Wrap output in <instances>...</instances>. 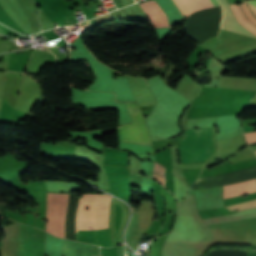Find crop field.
I'll return each mask as SVG.
<instances>
[{"label":"crop field","instance_id":"3316defc","mask_svg":"<svg viewBox=\"0 0 256 256\" xmlns=\"http://www.w3.org/2000/svg\"><path fill=\"white\" fill-rule=\"evenodd\" d=\"M247 2L251 3L252 5H254L256 7V0H250V1H247ZM248 5L251 7V9L253 10V12L256 15V8L254 6H252V5H250V4H248Z\"/></svg>","mask_w":256,"mask_h":256},{"label":"crop field","instance_id":"22f410ed","mask_svg":"<svg viewBox=\"0 0 256 256\" xmlns=\"http://www.w3.org/2000/svg\"><path fill=\"white\" fill-rule=\"evenodd\" d=\"M174 2V1H173ZM175 3V2H174ZM176 5V4H175ZM178 8V7H177ZM181 13V12H180ZM184 17V16H183Z\"/></svg>","mask_w":256,"mask_h":256},{"label":"crop field","instance_id":"34b2d1b8","mask_svg":"<svg viewBox=\"0 0 256 256\" xmlns=\"http://www.w3.org/2000/svg\"><path fill=\"white\" fill-rule=\"evenodd\" d=\"M230 7L232 8L239 23L256 34V18L249 7L245 3L232 5Z\"/></svg>","mask_w":256,"mask_h":256},{"label":"crop field","instance_id":"ac0d7876","mask_svg":"<svg viewBox=\"0 0 256 256\" xmlns=\"http://www.w3.org/2000/svg\"><path fill=\"white\" fill-rule=\"evenodd\" d=\"M125 103L133 120V123L120 127L123 141L130 143H139L143 145H152L139 106L136 103Z\"/></svg>","mask_w":256,"mask_h":256},{"label":"crop field","instance_id":"28ad6ade","mask_svg":"<svg viewBox=\"0 0 256 256\" xmlns=\"http://www.w3.org/2000/svg\"><path fill=\"white\" fill-rule=\"evenodd\" d=\"M243 129H244V132H250V131H254L255 130L251 126H244Z\"/></svg>","mask_w":256,"mask_h":256},{"label":"crop field","instance_id":"d1516ede","mask_svg":"<svg viewBox=\"0 0 256 256\" xmlns=\"http://www.w3.org/2000/svg\"><path fill=\"white\" fill-rule=\"evenodd\" d=\"M226 1L228 2V4H231V3H235L243 0H226Z\"/></svg>","mask_w":256,"mask_h":256},{"label":"crop field","instance_id":"e52e79f7","mask_svg":"<svg viewBox=\"0 0 256 256\" xmlns=\"http://www.w3.org/2000/svg\"><path fill=\"white\" fill-rule=\"evenodd\" d=\"M220 1V0H219ZM228 13L230 14L233 22L236 24L237 27H239L241 30H243L245 33H247L248 35L250 36H253L256 38V36H254L252 33H250L248 30H246L244 27H242L236 20V18L234 17L232 11L230 10L227 2L225 0H222ZM222 1H220L221 5H222V9H223V19H222V25L221 27L224 28V29H227V30H231V31H235V32H239V33H243L245 34L244 32H242L240 29H238L234 23L232 22L229 14L227 13Z\"/></svg>","mask_w":256,"mask_h":256},{"label":"crop field","instance_id":"d8731c3e","mask_svg":"<svg viewBox=\"0 0 256 256\" xmlns=\"http://www.w3.org/2000/svg\"><path fill=\"white\" fill-rule=\"evenodd\" d=\"M19 75L8 74L6 81V88L3 99L7 101L12 107L14 106L16 98V89L19 81Z\"/></svg>","mask_w":256,"mask_h":256},{"label":"crop field","instance_id":"dd49c442","mask_svg":"<svg viewBox=\"0 0 256 256\" xmlns=\"http://www.w3.org/2000/svg\"><path fill=\"white\" fill-rule=\"evenodd\" d=\"M256 191V179L229 185L223 186V198L233 197L241 195L244 193H251Z\"/></svg>","mask_w":256,"mask_h":256},{"label":"crop field","instance_id":"f4fd0767","mask_svg":"<svg viewBox=\"0 0 256 256\" xmlns=\"http://www.w3.org/2000/svg\"><path fill=\"white\" fill-rule=\"evenodd\" d=\"M185 17L192 12L205 8L220 6L217 0H174Z\"/></svg>","mask_w":256,"mask_h":256},{"label":"crop field","instance_id":"5a996713","mask_svg":"<svg viewBox=\"0 0 256 256\" xmlns=\"http://www.w3.org/2000/svg\"><path fill=\"white\" fill-rule=\"evenodd\" d=\"M252 207H256V200L249 201V202H244V203H240V204H236V205H232V206H228L227 208L230 211H233L235 209H238V211H241V210L249 209V208H252Z\"/></svg>","mask_w":256,"mask_h":256},{"label":"crop field","instance_id":"412701ff","mask_svg":"<svg viewBox=\"0 0 256 256\" xmlns=\"http://www.w3.org/2000/svg\"><path fill=\"white\" fill-rule=\"evenodd\" d=\"M140 6L144 9L147 17L152 22L153 27H169L165 14L156 2H144Z\"/></svg>","mask_w":256,"mask_h":256},{"label":"crop field","instance_id":"8a807250","mask_svg":"<svg viewBox=\"0 0 256 256\" xmlns=\"http://www.w3.org/2000/svg\"><path fill=\"white\" fill-rule=\"evenodd\" d=\"M179 147L183 163L206 161L215 151L214 127L187 129Z\"/></svg>","mask_w":256,"mask_h":256}]
</instances>
